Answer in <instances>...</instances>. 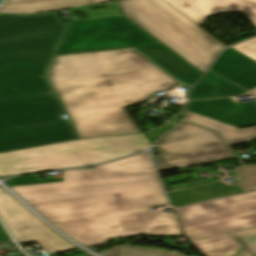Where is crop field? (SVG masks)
Wrapping results in <instances>:
<instances>
[{
    "label": "crop field",
    "mask_w": 256,
    "mask_h": 256,
    "mask_svg": "<svg viewBox=\"0 0 256 256\" xmlns=\"http://www.w3.org/2000/svg\"><path fill=\"white\" fill-rule=\"evenodd\" d=\"M149 156L64 170V182L10 188L84 246L141 233L181 235L173 213L148 209L168 204Z\"/></svg>",
    "instance_id": "obj_1"
},
{
    "label": "crop field",
    "mask_w": 256,
    "mask_h": 256,
    "mask_svg": "<svg viewBox=\"0 0 256 256\" xmlns=\"http://www.w3.org/2000/svg\"><path fill=\"white\" fill-rule=\"evenodd\" d=\"M67 30L57 14L0 15V153L77 138L46 79Z\"/></svg>",
    "instance_id": "obj_2"
},
{
    "label": "crop field",
    "mask_w": 256,
    "mask_h": 256,
    "mask_svg": "<svg viewBox=\"0 0 256 256\" xmlns=\"http://www.w3.org/2000/svg\"><path fill=\"white\" fill-rule=\"evenodd\" d=\"M49 79L80 138L140 132L124 107L179 83L134 49L55 57Z\"/></svg>",
    "instance_id": "obj_3"
},
{
    "label": "crop field",
    "mask_w": 256,
    "mask_h": 256,
    "mask_svg": "<svg viewBox=\"0 0 256 256\" xmlns=\"http://www.w3.org/2000/svg\"><path fill=\"white\" fill-rule=\"evenodd\" d=\"M184 233L207 256H234L244 247L227 232L256 226V191L175 209Z\"/></svg>",
    "instance_id": "obj_4"
},
{
    "label": "crop field",
    "mask_w": 256,
    "mask_h": 256,
    "mask_svg": "<svg viewBox=\"0 0 256 256\" xmlns=\"http://www.w3.org/2000/svg\"><path fill=\"white\" fill-rule=\"evenodd\" d=\"M150 146L147 138L139 134L76 140L2 153L0 176L90 165L142 151Z\"/></svg>",
    "instance_id": "obj_5"
},
{
    "label": "crop field",
    "mask_w": 256,
    "mask_h": 256,
    "mask_svg": "<svg viewBox=\"0 0 256 256\" xmlns=\"http://www.w3.org/2000/svg\"><path fill=\"white\" fill-rule=\"evenodd\" d=\"M120 4L124 14L201 71L226 47L162 0H121Z\"/></svg>",
    "instance_id": "obj_6"
},
{
    "label": "crop field",
    "mask_w": 256,
    "mask_h": 256,
    "mask_svg": "<svg viewBox=\"0 0 256 256\" xmlns=\"http://www.w3.org/2000/svg\"><path fill=\"white\" fill-rule=\"evenodd\" d=\"M154 148L161 155L154 158L159 171L235 158L215 131L185 121L163 135Z\"/></svg>",
    "instance_id": "obj_7"
},
{
    "label": "crop field",
    "mask_w": 256,
    "mask_h": 256,
    "mask_svg": "<svg viewBox=\"0 0 256 256\" xmlns=\"http://www.w3.org/2000/svg\"><path fill=\"white\" fill-rule=\"evenodd\" d=\"M124 16L69 22L57 55L159 44Z\"/></svg>",
    "instance_id": "obj_8"
},
{
    "label": "crop field",
    "mask_w": 256,
    "mask_h": 256,
    "mask_svg": "<svg viewBox=\"0 0 256 256\" xmlns=\"http://www.w3.org/2000/svg\"><path fill=\"white\" fill-rule=\"evenodd\" d=\"M0 217L17 242L36 240L50 253L75 248L4 191H0Z\"/></svg>",
    "instance_id": "obj_9"
},
{
    "label": "crop field",
    "mask_w": 256,
    "mask_h": 256,
    "mask_svg": "<svg viewBox=\"0 0 256 256\" xmlns=\"http://www.w3.org/2000/svg\"><path fill=\"white\" fill-rule=\"evenodd\" d=\"M198 25L211 15L245 12L256 27V0H164Z\"/></svg>",
    "instance_id": "obj_10"
},
{
    "label": "crop field",
    "mask_w": 256,
    "mask_h": 256,
    "mask_svg": "<svg viewBox=\"0 0 256 256\" xmlns=\"http://www.w3.org/2000/svg\"><path fill=\"white\" fill-rule=\"evenodd\" d=\"M188 110L236 127L256 124V102L234 104L230 98L193 101Z\"/></svg>",
    "instance_id": "obj_11"
},
{
    "label": "crop field",
    "mask_w": 256,
    "mask_h": 256,
    "mask_svg": "<svg viewBox=\"0 0 256 256\" xmlns=\"http://www.w3.org/2000/svg\"><path fill=\"white\" fill-rule=\"evenodd\" d=\"M210 71L247 90L256 86V61L231 47L221 55Z\"/></svg>",
    "instance_id": "obj_12"
},
{
    "label": "crop field",
    "mask_w": 256,
    "mask_h": 256,
    "mask_svg": "<svg viewBox=\"0 0 256 256\" xmlns=\"http://www.w3.org/2000/svg\"><path fill=\"white\" fill-rule=\"evenodd\" d=\"M136 49L185 84L193 85L202 74L163 44Z\"/></svg>",
    "instance_id": "obj_13"
},
{
    "label": "crop field",
    "mask_w": 256,
    "mask_h": 256,
    "mask_svg": "<svg viewBox=\"0 0 256 256\" xmlns=\"http://www.w3.org/2000/svg\"><path fill=\"white\" fill-rule=\"evenodd\" d=\"M110 0H7L0 13H38L59 11Z\"/></svg>",
    "instance_id": "obj_14"
},
{
    "label": "crop field",
    "mask_w": 256,
    "mask_h": 256,
    "mask_svg": "<svg viewBox=\"0 0 256 256\" xmlns=\"http://www.w3.org/2000/svg\"><path fill=\"white\" fill-rule=\"evenodd\" d=\"M246 92L221 77L207 72L191 92L190 99L233 96Z\"/></svg>",
    "instance_id": "obj_15"
},
{
    "label": "crop field",
    "mask_w": 256,
    "mask_h": 256,
    "mask_svg": "<svg viewBox=\"0 0 256 256\" xmlns=\"http://www.w3.org/2000/svg\"><path fill=\"white\" fill-rule=\"evenodd\" d=\"M185 119L218 130L229 145L244 143L256 139V126L237 129L234 126L189 111L187 112Z\"/></svg>",
    "instance_id": "obj_16"
},
{
    "label": "crop field",
    "mask_w": 256,
    "mask_h": 256,
    "mask_svg": "<svg viewBox=\"0 0 256 256\" xmlns=\"http://www.w3.org/2000/svg\"><path fill=\"white\" fill-rule=\"evenodd\" d=\"M241 193L235 186L224 187L222 185L211 184L202 187L187 189L170 193L169 198L173 206H180L206 199Z\"/></svg>",
    "instance_id": "obj_17"
},
{
    "label": "crop field",
    "mask_w": 256,
    "mask_h": 256,
    "mask_svg": "<svg viewBox=\"0 0 256 256\" xmlns=\"http://www.w3.org/2000/svg\"><path fill=\"white\" fill-rule=\"evenodd\" d=\"M102 256H185L172 251L119 245L103 251Z\"/></svg>",
    "instance_id": "obj_18"
},
{
    "label": "crop field",
    "mask_w": 256,
    "mask_h": 256,
    "mask_svg": "<svg viewBox=\"0 0 256 256\" xmlns=\"http://www.w3.org/2000/svg\"><path fill=\"white\" fill-rule=\"evenodd\" d=\"M229 234L245 247L236 256L256 255V227L230 232Z\"/></svg>",
    "instance_id": "obj_19"
},
{
    "label": "crop field",
    "mask_w": 256,
    "mask_h": 256,
    "mask_svg": "<svg viewBox=\"0 0 256 256\" xmlns=\"http://www.w3.org/2000/svg\"><path fill=\"white\" fill-rule=\"evenodd\" d=\"M233 172L242 177L236 185L244 191L256 189V165L239 166Z\"/></svg>",
    "instance_id": "obj_20"
},
{
    "label": "crop field",
    "mask_w": 256,
    "mask_h": 256,
    "mask_svg": "<svg viewBox=\"0 0 256 256\" xmlns=\"http://www.w3.org/2000/svg\"><path fill=\"white\" fill-rule=\"evenodd\" d=\"M57 181H62V178L39 181L37 176L28 175V176H22L18 178H12L4 183L9 186H15V185L41 184V183H49V182H57Z\"/></svg>",
    "instance_id": "obj_21"
},
{
    "label": "crop field",
    "mask_w": 256,
    "mask_h": 256,
    "mask_svg": "<svg viewBox=\"0 0 256 256\" xmlns=\"http://www.w3.org/2000/svg\"><path fill=\"white\" fill-rule=\"evenodd\" d=\"M233 48L256 60V37L236 46H233Z\"/></svg>",
    "instance_id": "obj_22"
},
{
    "label": "crop field",
    "mask_w": 256,
    "mask_h": 256,
    "mask_svg": "<svg viewBox=\"0 0 256 256\" xmlns=\"http://www.w3.org/2000/svg\"><path fill=\"white\" fill-rule=\"evenodd\" d=\"M173 125L167 123L166 125H164L161 128H158L152 132L146 133V135L150 138V139H155L158 135H160L161 133L165 132L166 130L172 128Z\"/></svg>",
    "instance_id": "obj_23"
},
{
    "label": "crop field",
    "mask_w": 256,
    "mask_h": 256,
    "mask_svg": "<svg viewBox=\"0 0 256 256\" xmlns=\"http://www.w3.org/2000/svg\"><path fill=\"white\" fill-rule=\"evenodd\" d=\"M7 240H10V238L7 235V233L4 230V228L2 227V225L0 224V242L1 241H7Z\"/></svg>",
    "instance_id": "obj_24"
},
{
    "label": "crop field",
    "mask_w": 256,
    "mask_h": 256,
    "mask_svg": "<svg viewBox=\"0 0 256 256\" xmlns=\"http://www.w3.org/2000/svg\"><path fill=\"white\" fill-rule=\"evenodd\" d=\"M251 93L256 97V89L251 91Z\"/></svg>",
    "instance_id": "obj_25"
},
{
    "label": "crop field",
    "mask_w": 256,
    "mask_h": 256,
    "mask_svg": "<svg viewBox=\"0 0 256 256\" xmlns=\"http://www.w3.org/2000/svg\"><path fill=\"white\" fill-rule=\"evenodd\" d=\"M0 190H3V189L0 188Z\"/></svg>",
    "instance_id": "obj_26"
},
{
    "label": "crop field",
    "mask_w": 256,
    "mask_h": 256,
    "mask_svg": "<svg viewBox=\"0 0 256 256\" xmlns=\"http://www.w3.org/2000/svg\"><path fill=\"white\" fill-rule=\"evenodd\" d=\"M0 2H1V0H0Z\"/></svg>",
    "instance_id": "obj_27"
}]
</instances>
